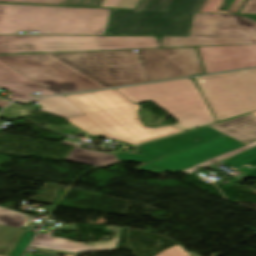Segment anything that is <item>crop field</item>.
Listing matches in <instances>:
<instances>
[{
	"label": "crop field",
	"mask_w": 256,
	"mask_h": 256,
	"mask_svg": "<svg viewBox=\"0 0 256 256\" xmlns=\"http://www.w3.org/2000/svg\"><path fill=\"white\" fill-rule=\"evenodd\" d=\"M137 51L0 56V87L12 93L7 98L23 100L33 92L41 97L202 73L195 48Z\"/></svg>",
	"instance_id": "1"
},
{
	"label": "crop field",
	"mask_w": 256,
	"mask_h": 256,
	"mask_svg": "<svg viewBox=\"0 0 256 256\" xmlns=\"http://www.w3.org/2000/svg\"><path fill=\"white\" fill-rule=\"evenodd\" d=\"M110 9L0 4V34L103 35Z\"/></svg>",
	"instance_id": "2"
},
{
	"label": "crop field",
	"mask_w": 256,
	"mask_h": 256,
	"mask_svg": "<svg viewBox=\"0 0 256 256\" xmlns=\"http://www.w3.org/2000/svg\"><path fill=\"white\" fill-rule=\"evenodd\" d=\"M133 104L151 100L169 112L186 131L215 123L191 78L116 89Z\"/></svg>",
	"instance_id": "3"
},
{
	"label": "crop field",
	"mask_w": 256,
	"mask_h": 256,
	"mask_svg": "<svg viewBox=\"0 0 256 256\" xmlns=\"http://www.w3.org/2000/svg\"><path fill=\"white\" fill-rule=\"evenodd\" d=\"M149 48H160L155 37L0 35V55L38 52L108 51Z\"/></svg>",
	"instance_id": "4"
},
{
	"label": "crop field",
	"mask_w": 256,
	"mask_h": 256,
	"mask_svg": "<svg viewBox=\"0 0 256 256\" xmlns=\"http://www.w3.org/2000/svg\"><path fill=\"white\" fill-rule=\"evenodd\" d=\"M205 0H172L166 11L113 9L107 35L188 36Z\"/></svg>",
	"instance_id": "5"
},
{
	"label": "crop field",
	"mask_w": 256,
	"mask_h": 256,
	"mask_svg": "<svg viewBox=\"0 0 256 256\" xmlns=\"http://www.w3.org/2000/svg\"><path fill=\"white\" fill-rule=\"evenodd\" d=\"M138 105H131L83 116L66 118L89 135H101L133 146L184 132L172 125L149 128L137 114Z\"/></svg>",
	"instance_id": "6"
},
{
	"label": "crop field",
	"mask_w": 256,
	"mask_h": 256,
	"mask_svg": "<svg viewBox=\"0 0 256 256\" xmlns=\"http://www.w3.org/2000/svg\"><path fill=\"white\" fill-rule=\"evenodd\" d=\"M196 80L218 121L256 111V69Z\"/></svg>",
	"instance_id": "7"
},
{
	"label": "crop field",
	"mask_w": 256,
	"mask_h": 256,
	"mask_svg": "<svg viewBox=\"0 0 256 256\" xmlns=\"http://www.w3.org/2000/svg\"><path fill=\"white\" fill-rule=\"evenodd\" d=\"M256 44V21L244 16L195 13L189 37H163L161 47Z\"/></svg>",
	"instance_id": "8"
},
{
	"label": "crop field",
	"mask_w": 256,
	"mask_h": 256,
	"mask_svg": "<svg viewBox=\"0 0 256 256\" xmlns=\"http://www.w3.org/2000/svg\"><path fill=\"white\" fill-rule=\"evenodd\" d=\"M241 146L244 145L223 135L193 149L177 152L138 169L157 173L168 170L176 174Z\"/></svg>",
	"instance_id": "9"
},
{
	"label": "crop field",
	"mask_w": 256,
	"mask_h": 256,
	"mask_svg": "<svg viewBox=\"0 0 256 256\" xmlns=\"http://www.w3.org/2000/svg\"><path fill=\"white\" fill-rule=\"evenodd\" d=\"M223 134L207 127L168 139L136 146L141 156L116 153L119 160L151 163L174 152L193 148ZM200 139L199 141H195Z\"/></svg>",
	"instance_id": "10"
},
{
	"label": "crop field",
	"mask_w": 256,
	"mask_h": 256,
	"mask_svg": "<svg viewBox=\"0 0 256 256\" xmlns=\"http://www.w3.org/2000/svg\"><path fill=\"white\" fill-rule=\"evenodd\" d=\"M206 74L256 66V45L198 47Z\"/></svg>",
	"instance_id": "11"
},
{
	"label": "crop field",
	"mask_w": 256,
	"mask_h": 256,
	"mask_svg": "<svg viewBox=\"0 0 256 256\" xmlns=\"http://www.w3.org/2000/svg\"><path fill=\"white\" fill-rule=\"evenodd\" d=\"M122 228L106 227L105 233H115V238L110 241L93 243H76L67 239L51 237L53 230L47 235L38 234L31 247L60 250L75 253L97 252L115 250Z\"/></svg>",
	"instance_id": "12"
},
{
	"label": "crop field",
	"mask_w": 256,
	"mask_h": 256,
	"mask_svg": "<svg viewBox=\"0 0 256 256\" xmlns=\"http://www.w3.org/2000/svg\"><path fill=\"white\" fill-rule=\"evenodd\" d=\"M65 97L85 114L132 104L115 89Z\"/></svg>",
	"instance_id": "13"
},
{
	"label": "crop field",
	"mask_w": 256,
	"mask_h": 256,
	"mask_svg": "<svg viewBox=\"0 0 256 256\" xmlns=\"http://www.w3.org/2000/svg\"><path fill=\"white\" fill-rule=\"evenodd\" d=\"M244 144L256 140V118L248 115L210 126Z\"/></svg>",
	"instance_id": "14"
},
{
	"label": "crop field",
	"mask_w": 256,
	"mask_h": 256,
	"mask_svg": "<svg viewBox=\"0 0 256 256\" xmlns=\"http://www.w3.org/2000/svg\"><path fill=\"white\" fill-rule=\"evenodd\" d=\"M61 144L75 146L72 149V151L69 153V155L66 157L65 159L66 161L87 164V165H92V166H97L102 168H105L110 164L119 162L115 155L83 149V148H80V146H77L66 140L61 142Z\"/></svg>",
	"instance_id": "15"
},
{
	"label": "crop field",
	"mask_w": 256,
	"mask_h": 256,
	"mask_svg": "<svg viewBox=\"0 0 256 256\" xmlns=\"http://www.w3.org/2000/svg\"><path fill=\"white\" fill-rule=\"evenodd\" d=\"M32 101H37L43 107L42 109H39L40 111L53 114L62 118L84 114L64 96L20 101L19 103L24 104Z\"/></svg>",
	"instance_id": "16"
},
{
	"label": "crop field",
	"mask_w": 256,
	"mask_h": 256,
	"mask_svg": "<svg viewBox=\"0 0 256 256\" xmlns=\"http://www.w3.org/2000/svg\"><path fill=\"white\" fill-rule=\"evenodd\" d=\"M244 0H206L199 12L236 14Z\"/></svg>",
	"instance_id": "17"
},
{
	"label": "crop field",
	"mask_w": 256,
	"mask_h": 256,
	"mask_svg": "<svg viewBox=\"0 0 256 256\" xmlns=\"http://www.w3.org/2000/svg\"><path fill=\"white\" fill-rule=\"evenodd\" d=\"M23 233V230L0 226V248L8 249L5 256H9Z\"/></svg>",
	"instance_id": "18"
},
{
	"label": "crop field",
	"mask_w": 256,
	"mask_h": 256,
	"mask_svg": "<svg viewBox=\"0 0 256 256\" xmlns=\"http://www.w3.org/2000/svg\"><path fill=\"white\" fill-rule=\"evenodd\" d=\"M26 215L0 207V225L21 229Z\"/></svg>",
	"instance_id": "19"
},
{
	"label": "crop field",
	"mask_w": 256,
	"mask_h": 256,
	"mask_svg": "<svg viewBox=\"0 0 256 256\" xmlns=\"http://www.w3.org/2000/svg\"><path fill=\"white\" fill-rule=\"evenodd\" d=\"M255 145H256V142H253V143H251V144L246 145V146L243 147V148H238V149H236V150H234V151H231V152H229V153H227V154H225V155H222V156H220V157H218V158H215V159H213V160H210V161H208V162H205V163H203V164H200V165H198V166H196V167H193V168L188 169V170H186V171H183V172H181V173H184V174H186V175H189V174H191V173L197 171V167H199V166L205 167V166H207V165H209V164H212V163H215V162H217V161L226 159V158H228V157H230V156H232V155H235V154H237V153H239V152H242V151H244V150H247V149H249V148H251V147H253V146H255Z\"/></svg>",
	"instance_id": "20"
},
{
	"label": "crop field",
	"mask_w": 256,
	"mask_h": 256,
	"mask_svg": "<svg viewBox=\"0 0 256 256\" xmlns=\"http://www.w3.org/2000/svg\"><path fill=\"white\" fill-rule=\"evenodd\" d=\"M171 0H141L136 9L166 10Z\"/></svg>",
	"instance_id": "21"
},
{
	"label": "crop field",
	"mask_w": 256,
	"mask_h": 256,
	"mask_svg": "<svg viewBox=\"0 0 256 256\" xmlns=\"http://www.w3.org/2000/svg\"><path fill=\"white\" fill-rule=\"evenodd\" d=\"M140 0H104L101 7L135 9Z\"/></svg>",
	"instance_id": "22"
},
{
	"label": "crop field",
	"mask_w": 256,
	"mask_h": 256,
	"mask_svg": "<svg viewBox=\"0 0 256 256\" xmlns=\"http://www.w3.org/2000/svg\"><path fill=\"white\" fill-rule=\"evenodd\" d=\"M35 233L30 231H25L23 236L21 237L20 241L18 242L17 246L10 254V256H22L25 248L31 242L32 238L34 237Z\"/></svg>",
	"instance_id": "23"
},
{
	"label": "crop field",
	"mask_w": 256,
	"mask_h": 256,
	"mask_svg": "<svg viewBox=\"0 0 256 256\" xmlns=\"http://www.w3.org/2000/svg\"><path fill=\"white\" fill-rule=\"evenodd\" d=\"M103 0H65L63 5L99 7Z\"/></svg>",
	"instance_id": "24"
},
{
	"label": "crop field",
	"mask_w": 256,
	"mask_h": 256,
	"mask_svg": "<svg viewBox=\"0 0 256 256\" xmlns=\"http://www.w3.org/2000/svg\"><path fill=\"white\" fill-rule=\"evenodd\" d=\"M64 0H0V2L62 5Z\"/></svg>",
	"instance_id": "25"
},
{
	"label": "crop field",
	"mask_w": 256,
	"mask_h": 256,
	"mask_svg": "<svg viewBox=\"0 0 256 256\" xmlns=\"http://www.w3.org/2000/svg\"><path fill=\"white\" fill-rule=\"evenodd\" d=\"M157 256H190L188 252H186L184 249H182L180 246L176 245L173 246Z\"/></svg>",
	"instance_id": "26"
},
{
	"label": "crop field",
	"mask_w": 256,
	"mask_h": 256,
	"mask_svg": "<svg viewBox=\"0 0 256 256\" xmlns=\"http://www.w3.org/2000/svg\"><path fill=\"white\" fill-rule=\"evenodd\" d=\"M239 14H256V0H248Z\"/></svg>",
	"instance_id": "27"
},
{
	"label": "crop field",
	"mask_w": 256,
	"mask_h": 256,
	"mask_svg": "<svg viewBox=\"0 0 256 256\" xmlns=\"http://www.w3.org/2000/svg\"><path fill=\"white\" fill-rule=\"evenodd\" d=\"M58 230H69V231H76L75 225H61Z\"/></svg>",
	"instance_id": "28"
},
{
	"label": "crop field",
	"mask_w": 256,
	"mask_h": 256,
	"mask_svg": "<svg viewBox=\"0 0 256 256\" xmlns=\"http://www.w3.org/2000/svg\"><path fill=\"white\" fill-rule=\"evenodd\" d=\"M8 103H10L9 100L0 97V107H4V106H6Z\"/></svg>",
	"instance_id": "29"
},
{
	"label": "crop field",
	"mask_w": 256,
	"mask_h": 256,
	"mask_svg": "<svg viewBox=\"0 0 256 256\" xmlns=\"http://www.w3.org/2000/svg\"><path fill=\"white\" fill-rule=\"evenodd\" d=\"M250 114L256 117V112H254V113H250Z\"/></svg>",
	"instance_id": "30"
},
{
	"label": "crop field",
	"mask_w": 256,
	"mask_h": 256,
	"mask_svg": "<svg viewBox=\"0 0 256 256\" xmlns=\"http://www.w3.org/2000/svg\"><path fill=\"white\" fill-rule=\"evenodd\" d=\"M33 256H43V255H37V254H33Z\"/></svg>",
	"instance_id": "31"
}]
</instances>
